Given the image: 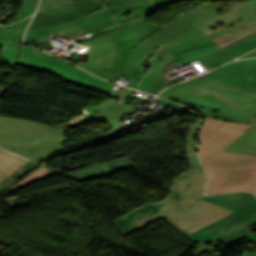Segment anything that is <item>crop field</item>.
<instances>
[{
	"label": "crop field",
	"mask_w": 256,
	"mask_h": 256,
	"mask_svg": "<svg viewBox=\"0 0 256 256\" xmlns=\"http://www.w3.org/2000/svg\"><path fill=\"white\" fill-rule=\"evenodd\" d=\"M254 31L256 0L240 2L225 9L202 4L140 41L122 76L132 79L128 87L136 88L147 70L141 64L155 51L165 55L137 88L157 94L162 88L179 82L176 78L169 81L165 72L179 64L202 58Z\"/></svg>",
	"instance_id": "1"
},
{
	"label": "crop field",
	"mask_w": 256,
	"mask_h": 256,
	"mask_svg": "<svg viewBox=\"0 0 256 256\" xmlns=\"http://www.w3.org/2000/svg\"><path fill=\"white\" fill-rule=\"evenodd\" d=\"M206 183L204 170L187 169L173 178L165 200L145 203L112 222L126 235L164 217L189 234L233 212L201 200Z\"/></svg>",
	"instance_id": "2"
},
{
	"label": "crop field",
	"mask_w": 256,
	"mask_h": 256,
	"mask_svg": "<svg viewBox=\"0 0 256 256\" xmlns=\"http://www.w3.org/2000/svg\"><path fill=\"white\" fill-rule=\"evenodd\" d=\"M249 125L206 118L197 138L200 161L210 183L207 194L247 190L256 194V156L221 152Z\"/></svg>",
	"instance_id": "3"
},
{
	"label": "crop field",
	"mask_w": 256,
	"mask_h": 256,
	"mask_svg": "<svg viewBox=\"0 0 256 256\" xmlns=\"http://www.w3.org/2000/svg\"><path fill=\"white\" fill-rule=\"evenodd\" d=\"M113 32L83 43L87 61L75 65L113 82L123 73L135 45L160 27L147 19L115 26Z\"/></svg>",
	"instance_id": "4"
},
{
	"label": "crop field",
	"mask_w": 256,
	"mask_h": 256,
	"mask_svg": "<svg viewBox=\"0 0 256 256\" xmlns=\"http://www.w3.org/2000/svg\"><path fill=\"white\" fill-rule=\"evenodd\" d=\"M203 200L231 209L234 212L189 235L200 246L198 254L209 251L207 243L224 240L231 243L248 239L256 243V236L247 228L256 222V196L247 192H235L214 196L204 195Z\"/></svg>",
	"instance_id": "5"
},
{
	"label": "crop field",
	"mask_w": 256,
	"mask_h": 256,
	"mask_svg": "<svg viewBox=\"0 0 256 256\" xmlns=\"http://www.w3.org/2000/svg\"><path fill=\"white\" fill-rule=\"evenodd\" d=\"M64 133L33 121L0 116V148L37 162L65 147Z\"/></svg>",
	"instance_id": "6"
},
{
	"label": "crop field",
	"mask_w": 256,
	"mask_h": 256,
	"mask_svg": "<svg viewBox=\"0 0 256 256\" xmlns=\"http://www.w3.org/2000/svg\"><path fill=\"white\" fill-rule=\"evenodd\" d=\"M195 95L238 110L248 117L256 113V93L204 75L175 85L160 94L161 97L180 103L187 102Z\"/></svg>",
	"instance_id": "7"
},
{
	"label": "crop field",
	"mask_w": 256,
	"mask_h": 256,
	"mask_svg": "<svg viewBox=\"0 0 256 256\" xmlns=\"http://www.w3.org/2000/svg\"><path fill=\"white\" fill-rule=\"evenodd\" d=\"M19 62V61H18ZM20 66L39 72H46L69 82L79 84L84 81L99 88L109 90L113 84L98 79L65 61L22 45Z\"/></svg>",
	"instance_id": "8"
},
{
	"label": "crop field",
	"mask_w": 256,
	"mask_h": 256,
	"mask_svg": "<svg viewBox=\"0 0 256 256\" xmlns=\"http://www.w3.org/2000/svg\"><path fill=\"white\" fill-rule=\"evenodd\" d=\"M79 86L86 87L107 95H110L114 97V100H107L103 103H100L86 111L89 113L85 114L84 112H81L80 114L76 115L75 117L71 118L67 122L55 127L57 129L62 128L61 131L66 132L72 128L78 127L80 125H83L92 119H100L106 123H108L114 130L115 128L119 129L122 126L117 124L120 119H122L124 116L128 115L130 112L135 110V108L132 107V105H127L124 102L129 98L130 94L133 92V90L125 88L124 91L119 94L114 91H105L102 89H99L97 87H94L92 85L86 84L82 82L79 84ZM109 101H112V103H109Z\"/></svg>",
	"instance_id": "9"
},
{
	"label": "crop field",
	"mask_w": 256,
	"mask_h": 256,
	"mask_svg": "<svg viewBox=\"0 0 256 256\" xmlns=\"http://www.w3.org/2000/svg\"><path fill=\"white\" fill-rule=\"evenodd\" d=\"M180 0H102L100 1L105 5L106 11L113 20L106 22L102 25L94 27L90 30L82 32L73 36L76 39L92 34L104 28L110 27L120 22L131 19L145 17L173 2Z\"/></svg>",
	"instance_id": "10"
},
{
	"label": "crop field",
	"mask_w": 256,
	"mask_h": 256,
	"mask_svg": "<svg viewBox=\"0 0 256 256\" xmlns=\"http://www.w3.org/2000/svg\"><path fill=\"white\" fill-rule=\"evenodd\" d=\"M104 7L94 0H81L67 5L36 12L29 30L42 28L78 18L86 13Z\"/></svg>",
	"instance_id": "11"
},
{
	"label": "crop field",
	"mask_w": 256,
	"mask_h": 256,
	"mask_svg": "<svg viewBox=\"0 0 256 256\" xmlns=\"http://www.w3.org/2000/svg\"><path fill=\"white\" fill-rule=\"evenodd\" d=\"M204 75L256 92V59L231 62Z\"/></svg>",
	"instance_id": "12"
},
{
	"label": "crop field",
	"mask_w": 256,
	"mask_h": 256,
	"mask_svg": "<svg viewBox=\"0 0 256 256\" xmlns=\"http://www.w3.org/2000/svg\"><path fill=\"white\" fill-rule=\"evenodd\" d=\"M31 16L13 25L0 26V48L5 61L13 70L20 52V37Z\"/></svg>",
	"instance_id": "13"
},
{
	"label": "crop field",
	"mask_w": 256,
	"mask_h": 256,
	"mask_svg": "<svg viewBox=\"0 0 256 256\" xmlns=\"http://www.w3.org/2000/svg\"><path fill=\"white\" fill-rule=\"evenodd\" d=\"M109 20H111L110 16L107 14L104 8H102L100 10L84 15L74 21L51 26L50 29L54 36L58 35L62 38H66Z\"/></svg>",
	"instance_id": "14"
},
{
	"label": "crop field",
	"mask_w": 256,
	"mask_h": 256,
	"mask_svg": "<svg viewBox=\"0 0 256 256\" xmlns=\"http://www.w3.org/2000/svg\"><path fill=\"white\" fill-rule=\"evenodd\" d=\"M254 48H256V32L209 54L202 58V62L213 68Z\"/></svg>",
	"instance_id": "15"
},
{
	"label": "crop field",
	"mask_w": 256,
	"mask_h": 256,
	"mask_svg": "<svg viewBox=\"0 0 256 256\" xmlns=\"http://www.w3.org/2000/svg\"><path fill=\"white\" fill-rule=\"evenodd\" d=\"M244 123L252 127L223 151L256 155V114Z\"/></svg>",
	"instance_id": "16"
},
{
	"label": "crop field",
	"mask_w": 256,
	"mask_h": 256,
	"mask_svg": "<svg viewBox=\"0 0 256 256\" xmlns=\"http://www.w3.org/2000/svg\"><path fill=\"white\" fill-rule=\"evenodd\" d=\"M27 162H29V160L0 149V182Z\"/></svg>",
	"instance_id": "17"
},
{
	"label": "crop field",
	"mask_w": 256,
	"mask_h": 256,
	"mask_svg": "<svg viewBox=\"0 0 256 256\" xmlns=\"http://www.w3.org/2000/svg\"><path fill=\"white\" fill-rule=\"evenodd\" d=\"M50 36H52V34L49 28L46 27V28L27 32L25 36V40L30 45L38 49H42V48H46V46L52 45L48 42Z\"/></svg>",
	"instance_id": "18"
},
{
	"label": "crop field",
	"mask_w": 256,
	"mask_h": 256,
	"mask_svg": "<svg viewBox=\"0 0 256 256\" xmlns=\"http://www.w3.org/2000/svg\"><path fill=\"white\" fill-rule=\"evenodd\" d=\"M55 171L45 167V166H41L39 169H37L36 171H34L32 174H30L29 176H27L25 179H23L22 181H20L18 184H16L15 186H13L12 188H10L8 191H6L5 193H3L1 196L10 193L14 190H17L23 186H26L32 182H35L39 179H42L52 173H54ZM0 196V197H1Z\"/></svg>",
	"instance_id": "19"
},
{
	"label": "crop field",
	"mask_w": 256,
	"mask_h": 256,
	"mask_svg": "<svg viewBox=\"0 0 256 256\" xmlns=\"http://www.w3.org/2000/svg\"><path fill=\"white\" fill-rule=\"evenodd\" d=\"M36 4L37 0H22L15 22L20 21L33 14Z\"/></svg>",
	"instance_id": "20"
},
{
	"label": "crop field",
	"mask_w": 256,
	"mask_h": 256,
	"mask_svg": "<svg viewBox=\"0 0 256 256\" xmlns=\"http://www.w3.org/2000/svg\"><path fill=\"white\" fill-rule=\"evenodd\" d=\"M156 103H158L160 105H163V106H166V107L171 108V109L194 112V111L190 110L189 108H187L184 105L177 104V103H174V102H171V101H168V100H164V99H161V98H159Z\"/></svg>",
	"instance_id": "21"
},
{
	"label": "crop field",
	"mask_w": 256,
	"mask_h": 256,
	"mask_svg": "<svg viewBox=\"0 0 256 256\" xmlns=\"http://www.w3.org/2000/svg\"><path fill=\"white\" fill-rule=\"evenodd\" d=\"M61 3H65L64 0H41L38 10L53 7Z\"/></svg>",
	"instance_id": "22"
},
{
	"label": "crop field",
	"mask_w": 256,
	"mask_h": 256,
	"mask_svg": "<svg viewBox=\"0 0 256 256\" xmlns=\"http://www.w3.org/2000/svg\"><path fill=\"white\" fill-rule=\"evenodd\" d=\"M108 32H111V31H110L109 29H107V30H105V31H102V32L97 33V34H95V35H92V36H90V37H87V38H85V39L78 40V43L81 44V43H83V42H85V41H88V40H90V39H93V38H95V37H97V36L103 35V34L108 33Z\"/></svg>",
	"instance_id": "23"
},
{
	"label": "crop field",
	"mask_w": 256,
	"mask_h": 256,
	"mask_svg": "<svg viewBox=\"0 0 256 256\" xmlns=\"http://www.w3.org/2000/svg\"><path fill=\"white\" fill-rule=\"evenodd\" d=\"M249 56H256V50H254V51H252V52H250V53H248V54H246V55H244L242 57H249Z\"/></svg>",
	"instance_id": "24"
},
{
	"label": "crop field",
	"mask_w": 256,
	"mask_h": 256,
	"mask_svg": "<svg viewBox=\"0 0 256 256\" xmlns=\"http://www.w3.org/2000/svg\"><path fill=\"white\" fill-rule=\"evenodd\" d=\"M70 1H72V0H65L66 3H67V2H70Z\"/></svg>",
	"instance_id": "25"
}]
</instances>
